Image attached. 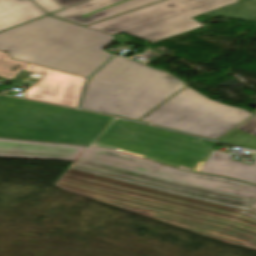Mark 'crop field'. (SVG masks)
Masks as SVG:
<instances>
[{
    "label": "crop field",
    "instance_id": "crop-field-21",
    "mask_svg": "<svg viewBox=\"0 0 256 256\" xmlns=\"http://www.w3.org/2000/svg\"><path fill=\"white\" fill-rule=\"evenodd\" d=\"M252 208H255L256 209V204L252 206Z\"/></svg>",
    "mask_w": 256,
    "mask_h": 256
},
{
    "label": "crop field",
    "instance_id": "crop-field-12",
    "mask_svg": "<svg viewBox=\"0 0 256 256\" xmlns=\"http://www.w3.org/2000/svg\"><path fill=\"white\" fill-rule=\"evenodd\" d=\"M89 0L87 2L64 9L52 15L66 18L84 25L159 1V0ZM124 2V3H121ZM121 3L119 5H116ZM116 5V6H113ZM113 6V7H110ZM110 7V8H107ZM107 8L105 10H102ZM102 10V11H99ZM99 11V12H96ZM96 12V13H93ZM93 13L91 15H88ZM88 15V16H85ZM85 16V17H83Z\"/></svg>",
    "mask_w": 256,
    "mask_h": 256
},
{
    "label": "crop field",
    "instance_id": "crop-field-5",
    "mask_svg": "<svg viewBox=\"0 0 256 256\" xmlns=\"http://www.w3.org/2000/svg\"><path fill=\"white\" fill-rule=\"evenodd\" d=\"M92 146L109 147L199 172L216 143L116 119Z\"/></svg>",
    "mask_w": 256,
    "mask_h": 256
},
{
    "label": "crop field",
    "instance_id": "crop-field-2",
    "mask_svg": "<svg viewBox=\"0 0 256 256\" xmlns=\"http://www.w3.org/2000/svg\"><path fill=\"white\" fill-rule=\"evenodd\" d=\"M115 37L46 16L0 33V51L13 59L88 77L113 54Z\"/></svg>",
    "mask_w": 256,
    "mask_h": 256
},
{
    "label": "crop field",
    "instance_id": "crop-field-10",
    "mask_svg": "<svg viewBox=\"0 0 256 256\" xmlns=\"http://www.w3.org/2000/svg\"><path fill=\"white\" fill-rule=\"evenodd\" d=\"M24 70L46 75L25 98L77 108L86 78L29 64Z\"/></svg>",
    "mask_w": 256,
    "mask_h": 256
},
{
    "label": "crop field",
    "instance_id": "crop-field-14",
    "mask_svg": "<svg viewBox=\"0 0 256 256\" xmlns=\"http://www.w3.org/2000/svg\"><path fill=\"white\" fill-rule=\"evenodd\" d=\"M216 239L256 249V210H246Z\"/></svg>",
    "mask_w": 256,
    "mask_h": 256
},
{
    "label": "crop field",
    "instance_id": "crop-field-9",
    "mask_svg": "<svg viewBox=\"0 0 256 256\" xmlns=\"http://www.w3.org/2000/svg\"><path fill=\"white\" fill-rule=\"evenodd\" d=\"M81 158L142 172L172 181L216 189L256 199V186L254 185L230 179L188 173L109 149L89 147Z\"/></svg>",
    "mask_w": 256,
    "mask_h": 256
},
{
    "label": "crop field",
    "instance_id": "crop-field-16",
    "mask_svg": "<svg viewBox=\"0 0 256 256\" xmlns=\"http://www.w3.org/2000/svg\"><path fill=\"white\" fill-rule=\"evenodd\" d=\"M206 14L219 15L256 22V0H244Z\"/></svg>",
    "mask_w": 256,
    "mask_h": 256
},
{
    "label": "crop field",
    "instance_id": "crop-field-7",
    "mask_svg": "<svg viewBox=\"0 0 256 256\" xmlns=\"http://www.w3.org/2000/svg\"><path fill=\"white\" fill-rule=\"evenodd\" d=\"M251 115L208 99L188 87L142 120L215 140Z\"/></svg>",
    "mask_w": 256,
    "mask_h": 256
},
{
    "label": "crop field",
    "instance_id": "crop-field-8",
    "mask_svg": "<svg viewBox=\"0 0 256 256\" xmlns=\"http://www.w3.org/2000/svg\"><path fill=\"white\" fill-rule=\"evenodd\" d=\"M66 171L76 174H79L81 171H83L183 197L194 198L240 210H246L250 208L254 203H256V200L216 190L176 183L160 179L157 177L145 175L142 173L117 168L81 158H78L77 161Z\"/></svg>",
    "mask_w": 256,
    "mask_h": 256
},
{
    "label": "crop field",
    "instance_id": "crop-field-3",
    "mask_svg": "<svg viewBox=\"0 0 256 256\" xmlns=\"http://www.w3.org/2000/svg\"><path fill=\"white\" fill-rule=\"evenodd\" d=\"M185 86L168 73L114 57L89 79L81 108L138 121Z\"/></svg>",
    "mask_w": 256,
    "mask_h": 256
},
{
    "label": "crop field",
    "instance_id": "crop-field-18",
    "mask_svg": "<svg viewBox=\"0 0 256 256\" xmlns=\"http://www.w3.org/2000/svg\"><path fill=\"white\" fill-rule=\"evenodd\" d=\"M27 63L12 60L7 53L0 52V76L14 79Z\"/></svg>",
    "mask_w": 256,
    "mask_h": 256
},
{
    "label": "crop field",
    "instance_id": "crop-field-20",
    "mask_svg": "<svg viewBox=\"0 0 256 256\" xmlns=\"http://www.w3.org/2000/svg\"><path fill=\"white\" fill-rule=\"evenodd\" d=\"M56 1L59 2L65 8H67V7H70L72 5L84 2L86 0H56Z\"/></svg>",
    "mask_w": 256,
    "mask_h": 256
},
{
    "label": "crop field",
    "instance_id": "crop-field-4",
    "mask_svg": "<svg viewBox=\"0 0 256 256\" xmlns=\"http://www.w3.org/2000/svg\"><path fill=\"white\" fill-rule=\"evenodd\" d=\"M113 119L0 95V137L90 145Z\"/></svg>",
    "mask_w": 256,
    "mask_h": 256
},
{
    "label": "crop field",
    "instance_id": "crop-field-19",
    "mask_svg": "<svg viewBox=\"0 0 256 256\" xmlns=\"http://www.w3.org/2000/svg\"><path fill=\"white\" fill-rule=\"evenodd\" d=\"M34 1L37 2L41 7H43L50 14L64 9V7H62L55 0H34Z\"/></svg>",
    "mask_w": 256,
    "mask_h": 256
},
{
    "label": "crop field",
    "instance_id": "crop-field-1",
    "mask_svg": "<svg viewBox=\"0 0 256 256\" xmlns=\"http://www.w3.org/2000/svg\"><path fill=\"white\" fill-rule=\"evenodd\" d=\"M54 186L212 238L244 212L83 172H64Z\"/></svg>",
    "mask_w": 256,
    "mask_h": 256
},
{
    "label": "crop field",
    "instance_id": "crop-field-17",
    "mask_svg": "<svg viewBox=\"0 0 256 256\" xmlns=\"http://www.w3.org/2000/svg\"><path fill=\"white\" fill-rule=\"evenodd\" d=\"M221 141L256 149V115L227 134Z\"/></svg>",
    "mask_w": 256,
    "mask_h": 256
},
{
    "label": "crop field",
    "instance_id": "crop-field-13",
    "mask_svg": "<svg viewBox=\"0 0 256 256\" xmlns=\"http://www.w3.org/2000/svg\"><path fill=\"white\" fill-rule=\"evenodd\" d=\"M232 157V154L213 150L200 172L256 184V159L248 165L231 160Z\"/></svg>",
    "mask_w": 256,
    "mask_h": 256
},
{
    "label": "crop field",
    "instance_id": "crop-field-15",
    "mask_svg": "<svg viewBox=\"0 0 256 256\" xmlns=\"http://www.w3.org/2000/svg\"><path fill=\"white\" fill-rule=\"evenodd\" d=\"M43 15L30 0H0V31Z\"/></svg>",
    "mask_w": 256,
    "mask_h": 256
},
{
    "label": "crop field",
    "instance_id": "crop-field-6",
    "mask_svg": "<svg viewBox=\"0 0 256 256\" xmlns=\"http://www.w3.org/2000/svg\"><path fill=\"white\" fill-rule=\"evenodd\" d=\"M238 2L237 0H166L128 12L87 28L122 32L152 42L202 27L191 17Z\"/></svg>",
    "mask_w": 256,
    "mask_h": 256
},
{
    "label": "crop field",
    "instance_id": "crop-field-11",
    "mask_svg": "<svg viewBox=\"0 0 256 256\" xmlns=\"http://www.w3.org/2000/svg\"><path fill=\"white\" fill-rule=\"evenodd\" d=\"M86 147L0 139V157L74 161Z\"/></svg>",
    "mask_w": 256,
    "mask_h": 256
}]
</instances>
